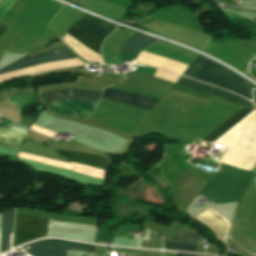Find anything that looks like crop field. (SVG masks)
<instances>
[{"instance_id": "21", "label": "crop field", "mask_w": 256, "mask_h": 256, "mask_svg": "<svg viewBox=\"0 0 256 256\" xmlns=\"http://www.w3.org/2000/svg\"><path fill=\"white\" fill-rule=\"evenodd\" d=\"M254 20L256 21V18Z\"/></svg>"}, {"instance_id": "23", "label": "crop field", "mask_w": 256, "mask_h": 256, "mask_svg": "<svg viewBox=\"0 0 256 256\" xmlns=\"http://www.w3.org/2000/svg\"><path fill=\"white\" fill-rule=\"evenodd\" d=\"M255 166H256V164H255Z\"/></svg>"}, {"instance_id": "8", "label": "crop field", "mask_w": 256, "mask_h": 256, "mask_svg": "<svg viewBox=\"0 0 256 256\" xmlns=\"http://www.w3.org/2000/svg\"><path fill=\"white\" fill-rule=\"evenodd\" d=\"M54 113L70 116H78L88 119L94 103L87 102H77V101H68V102H59V103H50L46 104Z\"/></svg>"}, {"instance_id": "4", "label": "crop field", "mask_w": 256, "mask_h": 256, "mask_svg": "<svg viewBox=\"0 0 256 256\" xmlns=\"http://www.w3.org/2000/svg\"><path fill=\"white\" fill-rule=\"evenodd\" d=\"M48 220L16 212L13 247L44 238Z\"/></svg>"}, {"instance_id": "15", "label": "crop field", "mask_w": 256, "mask_h": 256, "mask_svg": "<svg viewBox=\"0 0 256 256\" xmlns=\"http://www.w3.org/2000/svg\"><path fill=\"white\" fill-rule=\"evenodd\" d=\"M15 0H0V20L12 6Z\"/></svg>"}, {"instance_id": "7", "label": "crop field", "mask_w": 256, "mask_h": 256, "mask_svg": "<svg viewBox=\"0 0 256 256\" xmlns=\"http://www.w3.org/2000/svg\"><path fill=\"white\" fill-rule=\"evenodd\" d=\"M103 98L114 100L127 105L135 106L138 108L150 110L154 104L159 101L158 99L145 97L137 94H132L124 91H119L111 88L103 89Z\"/></svg>"}, {"instance_id": "3", "label": "crop field", "mask_w": 256, "mask_h": 256, "mask_svg": "<svg viewBox=\"0 0 256 256\" xmlns=\"http://www.w3.org/2000/svg\"><path fill=\"white\" fill-rule=\"evenodd\" d=\"M74 25H76L101 43L104 38L116 28L109 23L95 19L84 13L79 16ZM74 25L67 34H69L70 36L84 44L86 47L100 55L101 43H99Z\"/></svg>"}, {"instance_id": "17", "label": "crop field", "mask_w": 256, "mask_h": 256, "mask_svg": "<svg viewBox=\"0 0 256 256\" xmlns=\"http://www.w3.org/2000/svg\"><path fill=\"white\" fill-rule=\"evenodd\" d=\"M2 25V24H1ZM0 25V35L7 29L6 27H3Z\"/></svg>"}, {"instance_id": "19", "label": "crop field", "mask_w": 256, "mask_h": 256, "mask_svg": "<svg viewBox=\"0 0 256 256\" xmlns=\"http://www.w3.org/2000/svg\"><path fill=\"white\" fill-rule=\"evenodd\" d=\"M255 179V185H256V178H254Z\"/></svg>"}, {"instance_id": "18", "label": "crop field", "mask_w": 256, "mask_h": 256, "mask_svg": "<svg viewBox=\"0 0 256 256\" xmlns=\"http://www.w3.org/2000/svg\"><path fill=\"white\" fill-rule=\"evenodd\" d=\"M210 159H211V160H213V161H215V160H214V159H212L211 157H210ZM215 162H217V161H215ZM217 163H219V162H217Z\"/></svg>"}, {"instance_id": "12", "label": "crop field", "mask_w": 256, "mask_h": 256, "mask_svg": "<svg viewBox=\"0 0 256 256\" xmlns=\"http://www.w3.org/2000/svg\"><path fill=\"white\" fill-rule=\"evenodd\" d=\"M156 40L153 37L136 33L123 44L120 53L136 57L143 48Z\"/></svg>"}, {"instance_id": "16", "label": "crop field", "mask_w": 256, "mask_h": 256, "mask_svg": "<svg viewBox=\"0 0 256 256\" xmlns=\"http://www.w3.org/2000/svg\"><path fill=\"white\" fill-rule=\"evenodd\" d=\"M176 256H198V255L184 254V253H176Z\"/></svg>"}, {"instance_id": "6", "label": "crop field", "mask_w": 256, "mask_h": 256, "mask_svg": "<svg viewBox=\"0 0 256 256\" xmlns=\"http://www.w3.org/2000/svg\"><path fill=\"white\" fill-rule=\"evenodd\" d=\"M76 58L72 53H70L64 46L54 49L52 51L46 52L44 54L35 56L30 58L28 55L25 57L17 60L16 62L12 63L11 65L3 68L0 70V74L10 72L13 70L51 63L56 61L68 60Z\"/></svg>"}, {"instance_id": "1", "label": "crop field", "mask_w": 256, "mask_h": 256, "mask_svg": "<svg viewBox=\"0 0 256 256\" xmlns=\"http://www.w3.org/2000/svg\"><path fill=\"white\" fill-rule=\"evenodd\" d=\"M183 75L213 84L252 100L250 90L255 87L226 68L200 55L191 63Z\"/></svg>"}, {"instance_id": "5", "label": "crop field", "mask_w": 256, "mask_h": 256, "mask_svg": "<svg viewBox=\"0 0 256 256\" xmlns=\"http://www.w3.org/2000/svg\"><path fill=\"white\" fill-rule=\"evenodd\" d=\"M33 256H66L67 250L93 251L92 245L63 240H43L22 248Z\"/></svg>"}, {"instance_id": "2", "label": "crop field", "mask_w": 256, "mask_h": 256, "mask_svg": "<svg viewBox=\"0 0 256 256\" xmlns=\"http://www.w3.org/2000/svg\"><path fill=\"white\" fill-rule=\"evenodd\" d=\"M178 84L192 88L198 91H201L203 93H206L208 95H212L221 99H224L230 103H233L235 105H238L240 107L253 110L254 106L252 103L225 91L219 90L217 88L211 87L209 85L185 78L180 77ZM241 108L238 110L234 115H232L228 120H226L222 125H220L216 130H214L210 135H208L204 140L202 141H211L213 142L215 139H217L219 136H221L224 132H226L229 128H231L233 125H235L237 122H239L242 118H244L250 111Z\"/></svg>"}, {"instance_id": "13", "label": "crop field", "mask_w": 256, "mask_h": 256, "mask_svg": "<svg viewBox=\"0 0 256 256\" xmlns=\"http://www.w3.org/2000/svg\"><path fill=\"white\" fill-rule=\"evenodd\" d=\"M14 211H4L1 225V253L10 249L9 239L13 228ZM11 244V240H10Z\"/></svg>"}, {"instance_id": "10", "label": "crop field", "mask_w": 256, "mask_h": 256, "mask_svg": "<svg viewBox=\"0 0 256 256\" xmlns=\"http://www.w3.org/2000/svg\"><path fill=\"white\" fill-rule=\"evenodd\" d=\"M196 219L211 228L221 241L225 239L226 232L229 228V223L214 210L209 208L198 215Z\"/></svg>"}, {"instance_id": "14", "label": "crop field", "mask_w": 256, "mask_h": 256, "mask_svg": "<svg viewBox=\"0 0 256 256\" xmlns=\"http://www.w3.org/2000/svg\"><path fill=\"white\" fill-rule=\"evenodd\" d=\"M25 133L0 128V146L20 150Z\"/></svg>"}, {"instance_id": "20", "label": "crop field", "mask_w": 256, "mask_h": 256, "mask_svg": "<svg viewBox=\"0 0 256 256\" xmlns=\"http://www.w3.org/2000/svg\"><path fill=\"white\" fill-rule=\"evenodd\" d=\"M135 64H137V63H135ZM139 65H141V64H139Z\"/></svg>"}, {"instance_id": "9", "label": "crop field", "mask_w": 256, "mask_h": 256, "mask_svg": "<svg viewBox=\"0 0 256 256\" xmlns=\"http://www.w3.org/2000/svg\"><path fill=\"white\" fill-rule=\"evenodd\" d=\"M200 232L177 233L168 240L163 249L195 252Z\"/></svg>"}, {"instance_id": "11", "label": "crop field", "mask_w": 256, "mask_h": 256, "mask_svg": "<svg viewBox=\"0 0 256 256\" xmlns=\"http://www.w3.org/2000/svg\"><path fill=\"white\" fill-rule=\"evenodd\" d=\"M56 152L66 157L70 161L101 168V169L104 168V165L107 159L105 157H100V156L76 152V151H56Z\"/></svg>"}, {"instance_id": "22", "label": "crop field", "mask_w": 256, "mask_h": 256, "mask_svg": "<svg viewBox=\"0 0 256 256\" xmlns=\"http://www.w3.org/2000/svg\"><path fill=\"white\" fill-rule=\"evenodd\" d=\"M254 78L256 79V76Z\"/></svg>"}]
</instances>
